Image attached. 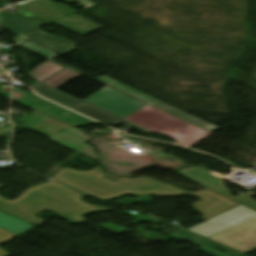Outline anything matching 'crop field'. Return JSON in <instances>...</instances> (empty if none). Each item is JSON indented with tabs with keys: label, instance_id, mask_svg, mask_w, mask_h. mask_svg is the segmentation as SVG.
<instances>
[{
	"label": "crop field",
	"instance_id": "obj_15",
	"mask_svg": "<svg viewBox=\"0 0 256 256\" xmlns=\"http://www.w3.org/2000/svg\"><path fill=\"white\" fill-rule=\"evenodd\" d=\"M130 211H132V210H125V211H123L121 214H124V215H127V216H129V217H132V218L137 219V220H135V222L133 223V224H135V225H136L137 223L141 222V221L149 222V223H154V222H156V221H159L158 219H155V218H153V217H151V216H149V215H142V214H140V213H138L137 215L131 214V213H129ZM137 226H138V225H137ZM98 227L108 229V230H110V231H112V232H114V233H116V234H118V235H120V234H122V233L128 231V232H131V233H134V234L144 235V236H146V237H148V238H151V239H154V240H157V241L162 240V241L168 242V241L171 240L170 238L165 237V236H163V235H160V234H158V233H156V232L150 233V232L144 230L145 228L140 227V226L137 228V229H138L137 232L127 230V229H125V228H123V227H120V226H117V225H115V224H113V223H111V222H108V223L103 224V225L98 226ZM108 230H107V231H108Z\"/></svg>",
	"mask_w": 256,
	"mask_h": 256
},
{
	"label": "crop field",
	"instance_id": "obj_4",
	"mask_svg": "<svg viewBox=\"0 0 256 256\" xmlns=\"http://www.w3.org/2000/svg\"><path fill=\"white\" fill-rule=\"evenodd\" d=\"M127 119L151 131L168 135L187 147L209 134L148 105Z\"/></svg>",
	"mask_w": 256,
	"mask_h": 256
},
{
	"label": "crop field",
	"instance_id": "obj_20",
	"mask_svg": "<svg viewBox=\"0 0 256 256\" xmlns=\"http://www.w3.org/2000/svg\"><path fill=\"white\" fill-rule=\"evenodd\" d=\"M17 235L0 227V243L5 244ZM10 252L0 248V256H9Z\"/></svg>",
	"mask_w": 256,
	"mask_h": 256
},
{
	"label": "crop field",
	"instance_id": "obj_19",
	"mask_svg": "<svg viewBox=\"0 0 256 256\" xmlns=\"http://www.w3.org/2000/svg\"><path fill=\"white\" fill-rule=\"evenodd\" d=\"M11 41L15 42L18 45H22V46H24V47H26V48L34 51V52H37V53L41 54V55H44V56H46V57H48L50 59H52V58H54L56 56V54L51 53V52H49V51H47V50H45L43 48H40L38 46H35V45H33V44H31V43H29V42H27V41H25V40H23L21 38H18V37L13 39V40H11Z\"/></svg>",
	"mask_w": 256,
	"mask_h": 256
},
{
	"label": "crop field",
	"instance_id": "obj_3",
	"mask_svg": "<svg viewBox=\"0 0 256 256\" xmlns=\"http://www.w3.org/2000/svg\"><path fill=\"white\" fill-rule=\"evenodd\" d=\"M187 230L243 253L256 249V211L242 204Z\"/></svg>",
	"mask_w": 256,
	"mask_h": 256
},
{
	"label": "crop field",
	"instance_id": "obj_10",
	"mask_svg": "<svg viewBox=\"0 0 256 256\" xmlns=\"http://www.w3.org/2000/svg\"><path fill=\"white\" fill-rule=\"evenodd\" d=\"M199 197L201 200L195 204V210L204 215L202 219H209L239 203L222 196L208 188H205L199 192L189 193Z\"/></svg>",
	"mask_w": 256,
	"mask_h": 256
},
{
	"label": "crop field",
	"instance_id": "obj_12",
	"mask_svg": "<svg viewBox=\"0 0 256 256\" xmlns=\"http://www.w3.org/2000/svg\"><path fill=\"white\" fill-rule=\"evenodd\" d=\"M63 68L64 67L48 61L29 72L27 75L57 89L80 75L68 69L54 75Z\"/></svg>",
	"mask_w": 256,
	"mask_h": 256
},
{
	"label": "crop field",
	"instance_id": "obj_11",
	"mask_svg": "<svg viewBox=\"0 0 256 256\" xmlns=\"http://www.w3.org/2000/svg\"><path fill=\"white\" fill-rule=\"evenodd\" d=\"M201 172H204V171H202L198 168H189V169L180 171V173L184 177L191 179L193 181H196L205 187H208L222 195H225L239 203H242V204L256 210V202L250 199L254 195L247 193L242 196L233 198L229 195L227 189H225L222 179H220L214 175H211L207 172H204V174H201Z\"/></svg>",
	"mask_w": 256,
	"mask_h": 256
},
{
	"label": "crop field",
	"instance_id": "obj_6",
	"mask_svg": "<svg viewBox=\"0 0 256 256\" xmlns=\"http://www.w3.org/2000/svg\"><path fill=\"white\" fill-rule=\"evenodd\" d=\"M0 18L1 22L10 29L14 35L24 38L40 29L30 25L27 22L19 20L9 14H6L0 11ZM25 39V38H24ZM26 40L43 47L51 52L58 53V54H68L74 50V47L70 46L71 42L61 39L56 36L49 35L42 31L32 35L31 37L27 38Z\"/></svg>",
	"mask_w": 256,
	"mask_h": 256
},
{
	"label": "crop field",
	"instance_id": "obj_2",
	"mask_svg": "<svg viewBox=\"0 0 256 256\" xmlns=\"http://www.w3.org/2000/svg\"><path fill=\"white\" fill-rule=\"evenodd\" d=\"M105 176L115 179L112 182L103 178ZM53 179L72 186L104 201L131 193L133 195L169 196L189 193L173 185L162 183L152 184L144 179L130 180L126 177L117 179L107 175L101 168L96 167L91 171H78L63 168Z\"/></svg>",
	"mask_w": 256,
	"mask_h": 256
},
{
	"label": "crop field",
	"instance_id": "obj_13",
	"mask_svg": "<svg viewBox=\"0 0 256 256\" xmlns=\"http://www.w3.org/2000/svg\"><path fill=\"white\" fill-rule=\"evenodd\" d=\"M168 237L173 238L175 240L185 239L192 243L198 244V245L202 246L198 250L205 252L212 256H248L246 254H243L241 252L233 250L229 247H226L224 245H221L219 243H216L214 241H211L209 239H206L204 237H201L197 234H194V233L189 232L184 229H182ZM214 246L221 248V250H223L224 252L223 253L218 252L217 250L213 249Z\"/></svg>",
	"mask_w": 256,
	"mask_h": 256
},
{
	"label": "crop field",
	"instance_id": "obj_21",
	"mask_svg": "<svg viewBox=\"0 0 256 256\" xmlns=\"http://www.w3.org/2000/svg\"><path fill=\"white\" fill-rule=\"evenodd\" d=\"M9 129L10 127H8L7 129L0 127V133L5 134Z\"/></svg>",
	"mask_w": 256,
	"mask_h": 256
},
{
	"label": "crop field",
	"instance_id": "obj_1",
	"mask_svg": "<svg viewBox=\"0 0 256 256\" xmlns=\"http://www.w3.org/2000/svg\"><path fill=\"white\" fill-rule=\"evenodd\" d=\"M71 190L73 189L52 180L46 184L29 188L21 194L20 198L13 201L0 197V210L30 224L39 225L45 221L35 215L45 209L79 224L87 220L81 217L83 214L108 209L90 205L77 198L69 200L61 196Z\"/></svg>",
	"mask_w": 256,
	"mask_h": 256
},
{
	"label": "crop field",
	"instance_id": "obj_14",
	"mask_svg": "<svg viewBox=\"0 0 256 256\" xmlns=\"http://www.w3.org/2000/svg\"><path fill=\"white\" fill-rule=\"evenodd\" d=\"M59 134L65 136L67 138H70V139H72V140H74V141H76V142H78L82 145H80L78 143H75L73 141H70V140H68V139H66V138H64V137H62L58 134L54 135V136H51L48 139H50L52 141H55V142L65 146L69 149H72V150L77 151L79 153H82L86 156H89L93 159H95L96 156L98 155V154L92 152L93 150H95L93 147L83 143V142L89 140L90 138L84 136V134L81 133L80 131H78L74 128H71V129L63 131Z\"/></svg>",
	"mask_w": 256,
	"mask_h": 256
},
{
	"label": "crop field",
	"instance_id": "obj_23",
	"mask_svg": "<svg viewBox=\"0 0 256 256\" xmlns=\"http://www.w3.org/2000/svg\"><path fill=\"white\" fill-rule=\"evenodd\" d=\"M0 71H3L2 69H0Z\"/></svg>",
	"mask_w": 256,
	"mask_h": 256
},
{
	"label": "crop field",
	"instance_id": "obj_24",
	"mask_svg": "<svg viewBox=\"0 0 256 256\" xmlns=\"http://www.w3.org/2000/svg\"><path fill=\"white\" fill-rule=\"evenodd\" d=\"M0 135H2V134H0Z\"/></svg>",
	"mask_w": 256,
	"mask_h": 256
},
{
	"label": "crop field",
	"instance_id": "obj_8",
	"mask_svg": "<svg viewBox=\"0 0 256 256\" xmlns=\"http://www.w3.org/2000/svg\"><path fill=\"white\" fill-rule=\"evenodd\" d=\"M23 96L24 98H20ZM14 100H20L21 103H24L28 106H31L35 109H38L52 117H55L59 120H62L70 125H86L93 124L94 122L87 120L81 116H78L66 109L49 103L33 94L26 93L19 88H14ZM64 115V116H61Z\"/></svg>",
	"mask_w": 256,
	"mask_h": 256
},
{
	"label": "crop field",
	"instance_id": "obj_22",
	"mask_svg": "<svg viewBox=\"0 0 256 256\" xmlns=\"http://www.w3.org/2000/svg\"><path fill=\"white\" fill-rule=\"evenodd\" d=\"M0 118L6 119L9 121V117L7 115L0 114Z\"/></svg>",
	"mask_w": 256,
	"mask_h": 256
},
{
	"label": "crop field",
	"instance_id": "obj_18",
	"mask_svg": "<svg viewBox=\"0 0 256 256\" xmlns=\"http://www.w3.org/2000/svg\"><path fill=\"white\" fill-rule=\"evenodd\" d=\"M0 226L18 235L35 227L14 216H8L2 212H0Z\"/></svg>",
	"mask_w": 256,
	"mask_h": 256
},
{
	"label": "crop field",
	"instance_id": "obj_17",
	"mask_svg": "<svg viewBox=\"0 0 256 256\" xmlns=\"http://www.w3.org/2000/svg\"><path fill=\"white\" fill-rule=\"evenodd\" d=\"M32 88L36 92H38L40 95H42L44 97H47V98H50V99H52V100H54V101H56V102H58L60 104H63L65 106H67V107H70V106H72L74 104H77V103L81 102V101H79L77 99H74V98H72V97H70L68 95H65V94H63L61 92H58V91H56L54 89H51V88H49L47 86H44V85L40 84V83L32 86Z\"/></svg>",
	"mask_w": 256,
	"mask_h": 256
},
{
	"label": "crop field",
	"instance_id": "obj_16",
	"mask_svg": "<svg viewBox=\"0 0 256 256\" xmlns=\"http://www.w3.org/2000/svg\"><path fill=\"white\" fill-rule=\"evenodd\" d=\"M72 109H74L76 111H79V112H81L83 114H86L88 116H91V117H93V118H95L97 120H100V121L104 122V123L113 125V126H115V125H117V124H119L121 122H124V123L134 127L136 130L141 131L143 133H152V132H149V131H147L145 129H142V128H140V127H138V126H136V125L126 121V120H123V119H121V118H119L117 116H114V115H112V114H110V113H108L106 111H103V110H101V109H99L97 107H94V106H92V105H90V104H88L86 102H84V103H82V104H80V105H78V106H76V107H74Z\"/></svg>",
	"mask_w": 256,
	"mask_h": 256
},
{
	"label": "crop field",
	"instance_id": "obj_9",
	"mask_svg": "<svg viewBox=\"0 0 256 256\" xmlns=\"http://www.w3.org/2000/svg\"><path fill=\"white\" fill-rule=\"evenodd\" d=\"M98 80H100V81H102V82H104V83H106L110 86H113V87H115V88H117V89H119L123 92H126V93H128V94H130V95H132V96H134L138 99H141V100H143V101H145V102H147L151 105H154V106H156L160 109H163V110H165V111H167L171 114H174V115H176L180 118H183V119H185L189 122H192V123H194L198 126H201L205 129H208L212 132H214V131H216L220 128V127L217 128V127H215V126H213L209 123H206V122H204V121H202V120H200V119H198L194 116H191V115H189V114H187V113H185L181 110H178V109H176V108H174V107H172V106H170L166 103H163V102H161V101H159V100H157L153 97H150L148 95H144V94H142V93H140V92H138L134 89H131V88H129V87H127V86H125V85L107 77V76H103V77L99 78Z\"/></svg>",
	"mask_w": 256,
	"mask_h": 256
},
{
	"label": "crop field",
	"instance_id": "obj_7",
	"mask_svg": "<svg viewBox=\"0 0 256 256\" xmlns=\"http://www.w3.org/2000/svg\"><path fill=\"white\" fill-rule=\"evenodd\" d=\"M83 101L95 105L123 119L146 105L140 101L132 100L124 94L107 86L103 87Z\"/></svg>",
	"mask_w": 256,
	"mask_h": 256
},
{
	"label": "crop field",
	"instance_id": "obj_5",
	"mask_svg": "<svg viewBox=\"0 0 256 256\" xmlns=\"http://www.w3.org/2000/svg\"><path fill=\"white\" fill-rule=\"evenodd\" d=\"M17 6L82 36L103 28L74 15L77 12L71 8L51 0H31ZM66 16L70 17L64 18ZM74 22L81 25L74 24Z\"/></svg>",
	"mask_w": 256,
	"mask_h": 256
}]
</instances>
